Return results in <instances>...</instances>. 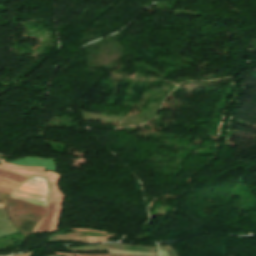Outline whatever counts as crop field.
<instances>
[{
	"instance_id": "8a807250",
	"label": "crop field",
	"mask_w": 256,
	"mask_h": 256,
	"mask_svg": "<svg viewBox=\"0 0 256 256\" xmlns=\"http://www.w3.org/2000/svg\"><path fill=\"white\" fill-rule=\"evenodd\" d=\"M48 193L46 178L33 176L20 184L10 197L46 207Z\"/></svg>"
},
{
	"instance_id": "ac0d7876",
	"label": "crop field",
	"mask_w": 256,
	"mask_h": 256,
	"mask_svg": "<svg viewBox=\"0 0 256 256\" xmlns=\"http://www.w3.org/2000/svg\"><path fill=\"white\" fill-rule=\"evenodd\" d=\"M10 163L23 166H45L46 169L55 172V162L53 158L39 159L38 157H25Z\"/></svg>"
},
{
	"instance_id": "34b2d1b8",
	"label": "crop field",
	"mask_w": 256,
	"mask_h": 256,
	"mask_svg": "<svg viewBox=\"0 0 256 256\" xmlns=\"http://www.w3.org/2000/svg\"><path fill=\"white\" fill-rule=\"evenodd\" d=\"M5 207H13V208H17V209H22V210L30 211V212H33V213H36V214H39L42 216L44 215V212L46 210V208H44V207L36 206V205L30 204L27 202H23V201L11 199V198H8Z\"/></svg>"
},
{
	"instance_id": "412701ff",
	"label": "crop field",
	"mask_w": 256,
	"mask_h": 256,
	"mask_svg": "<svg viewBox=\"0 0 256 256\" xmlns=\"http://www.w3.org/2000/svg\"><path fill=\"white\" fill-rule=\"evenodd\" d=\"M18 232L7 219L5 210L0 208V237Z\"/></svg>"
},
{
	"instance_id": "f4fd0767",
	"label": "crop field",
	"mask_w": 256,
	"mask_h": 256,
	"mask_svg": "<svg viewBox=\"0 0 256 256\" xmlns=\"http://www.w3.org/2000/svg\"><path fill=\"white\" fill-rule=\"evenodd\" d=\"M54 205H55V203L49 202L47 214H46L41 226L39 227V229L35 233L48 232V228H49L51 216H52V213H53Z\"/></svg>"
},
{
	"instance_id": "dd49c442",
	"label": "crop field",
	"mask_w": 256,
	"mask_h": 256,
	"mask_svg": "<svg viewBox=\"0 0 256 256\" xmlns=\"http://www.w3.org/2000/svg\"><path fill=\"white\" fill-rule=\"evenodd\" d=\"M19 185V183L4 179L0 177V191H4L12 194L13 190Z\"/></svg>"
},
{
	"instance_id": "e52e79f7",
	"label": "crop field",
	"mask_w": 256,
	"mask_h": 256,
	"mask_svg": "<svg viewBox=\"0 0 256 256\" xmlns=\"http://www.w3.org/2000/svg\"><path fill=\"white\" fill-rule=\"evenodd\" d=\"M0 176L11 179V180H14V181L19 182V183H21V182H23L24 180L27 179V178H23L21 176L13 175L11 173H8V172L2 171V170H0Z\"/></svg>"
}]
</instances>
